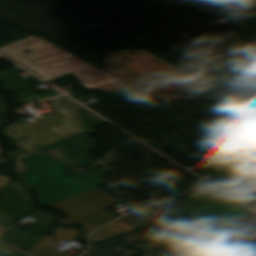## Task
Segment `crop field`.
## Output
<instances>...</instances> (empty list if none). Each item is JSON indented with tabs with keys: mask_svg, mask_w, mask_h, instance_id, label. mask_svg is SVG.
Returning <instances> with one entry per match:
<instances>
[{
	"mask_svg": "<svg viewBox=\"0 0 256 256\" xmlns=\"http://www.w3.org/2000/svg\"><path fill=\"white\" fill-rule=\"evenodd\" d=\"M247 247L251 248L252 250L256 251V243L249 244Z\"/></svg>",
	"mask_w": 256,
	"mask_h": 256,
	"instance_id": "obj_21",
	"label": "crop field"
},
{
	"mask_svg": "<svg viewBox=\"0 0 256 256\" xmlns=\"http://www.w3.org/2000/svg\"><path fill=\"white\" fill-rule=\"evenodd\" d=\"M181 204H184V203L181 202V201H179V202H177V203H174V204L169 205V207L173 208V207H176V206L181 205Z\"/></svg>",
	"mask_w": 256,
	"mask_h": 256,
	"instance_id": "obj_22",
	"label": "crop field"
},
{
	"mask_svg": "<svg viewBox=\"0 0 256 256\" xmlns=\"http://www.w3.org/2000/svg\"><path fill=\"white\" fill-rule=\"evenodd\" d=\"M19 69L21 68L16 66L0 72V80L7 82V84L4 85V88L12 90L18 94V97L16 98L17 102L30 103L61 94L60 92L54 89L45 91L41 94L34 93L32 90L29 89L33 85L14 72Z\"/></svg>",
	"mask_w": 256,
	"mask_h": 256,
	"instance_id": "obj_9",
	"label": "crop field"
},
{
	"mask_svg": "<svg viewBox=\"0 0 256 256\" xmlns=\"http://www.w3.org/2000/svg\"><path fill=\"white\" fill-rule=\"evenodd\" d=\"M4 229H5V228H3V227L0 226V231H2V230H4Z\"/></svg>",
	"mask_w": 256,
	"mask_h": 256,
	"instance_id": "obj_25",
	"label": "crop field"
},
{
	"mask_svg": "<svg viewBox=\"0 0 256 256\" xmlns=\"http://www.w3.org/2000/svg\"><path fill=\"white\" fill-rule=\"evenodd\" d=\"M5 109H6L5 104H4V103L1 104V105H0V111H5Z\"/></svg>",
	"mask_w": 256,
	"mask_h": 256,
	"instance_id": "obj_23",
	"label": "crop field"
},
{
	"mask_svg": "<svg viewBox=\"0 0 256 256\" xmlns=\"http://www.w3.org/2000/svg\"><path fill=\"white\" fill-rule=\"evenodd\" d=\"M31 198L21 182L14 180L0 189V216L15 222V219L29 209Z\"/></svg>",
	"mask_w": 256,
	"mask_h": 256,
	"instance_id": "obj_8",
	"label": "crop field"
},
{
	"mask_svg": "<svg viewBox=\"0 0 256 256\" xmlns=\"http://www.w3.org/2000/svg\"><path fill=\"white\" fill-rule=\"evenodd\" d=\"M56 112L44 115L40 120L27 124L20 120L3 131L18 140L13 145L22 149L9 153L14 158L52 142L75 135L91 127L106 123L65 96L49 99ZM92 129V128H91Z\"/></svg>",
	"mask_w": 256,
	"mask_h": 256,
	"instance_id": "obj_3",
	"label": "crop field"
},
{
	"mask_svg": "<svg viewBox=\"0 0 256 256\" xmlns=\"http://www.w3.org/2000/svg\"><path fill=\"white\" fill-rule=\"evenodd\" d=\"M195 165H197V166H199V167H201V168L207 170L208 172H211V171H214V170H218V169H216V168H214V167H211V166H209V165H206V164H204V163H202V162H199V163H197V164H195Z\"/></svg>",
	"mask_w": 256,
	"mask_h": 256,
	"instance_id": "obj_17",
	"label": "crop field"
},
{
	"mask_svg": "<svg viewBox=\"0 0 256 256\" xmlns=\"http://www.w3.org/2000/svg\"><path fill=\"white\" fill-rule=\"evenodd\" d=\"M0 153H1V151H0ZM4 162H6V161L3 160V159L0 157V164H1V163H4Z\"/></svg>",
	"mask_w": 256,
	"mask_h": 256,
	"instance_id": "obj_24",
	"label": "crop field"
},
{
	"mask_svg": "<svg viewBox=\"0 0 256 256\" xmlns=\"http://www.w3.org/2000/svg\"><path fill=\"white\" fill-rule=\"evenodd\" d=\"M249 256H256V253L252 254V255H249Z\"/></svg>",
	"mask_w": 256,
	"mask_h": 256,
	"instance_id": "obj_27",
	"label": "crop field"
},
{
	"mask_svg": "<svg viewBox=\"0 0 256 256\" xmlns=\"http://www.w3.org/2000/svg\"><path fill=\"white\" fill-rule=\"evenodd\" d=\"M154 221L146 218L145 216L133 212L132 214L116 221L115 223L93 233L92 240L100 241L104 238L152 223Z\"/></svg>",
	"mask_w": 256,
	"mask_h": 256,
	"instance_id": "obj_11",
	"label": "crop field"
},
{
	"mask_svg": "<svg viewBox=\"0 0 256 256\" xmlns=\"http://www.w3.org/2000/svg\"><path fill=\"white\" fill-rule=\"evenodd\" d=\"M1 103H3V100H2L1 97H0V104H1Z\"/></svg>",
	"mask_w": 256,
	"mask_h": 256,
	"instance_id": "obj_26",
	"label": "crop field"
},
{
	"mask_svg": "<svg viewBox=\"0 0 256 256\" xmlns=\"http://www.w3.org/2000/svg\"><path fill=\"white\" fill-rule=\"evenodd\" d=\"M25 256H27V255H25Z\"/></svg>",
	"mask_w": 256,
	"mask_h": 256,
	"instance_id": "obj_28",
	"label": "crop field"
},
{
	"mask_svg": "<svg viewBox=\"0 0 256 256\" xmlns=\"http://www.w3.org/2000/svg\"><path fill=\"white\" fill-rule=\"evenodd\" d=\"M246 204H248L249 206H251L252 208L256 209V200H252L249 202H245Z\"/></svg>",
	"mask_w": 256,
	"mask_h": 256,
	"instance_id": "obj_20",
	"label": "crop field"
},
{
	"mask_svg": "<svg viewBox=\"0 0 256 256\" xmlns=\"http://www.w3.org/2000/svg\"><path fill=\"white\" fill-rule=\"evenodd\" d=\"M99 132L92 128L14 159L13 168L30 190L36 189L44 206L105 184L103 167L84 175L66 171L95 163L86 151L97 148L88 136Z\"/></svg>",
	"mask_w": 256,
	"mask_h": 256,
	"instance_id": "obj_1",
	"label": "crop field"
},
{
	"mask_svg": "<svg viewBox=\"0 0 256 256\" xmlns=\"http://www.w3.org/2000/svg\"><path fill=\"white\" fill-rule=\"evenodd\" d=\"M0 256H24V254L0 244Z\"/></svg>",
	"mask_w": 256,
	"mask_h": 256,
	"instance_id": "obj_16",
	"label": "crop field"
},
{
	"mask_svg": "<svg viewBox=\"0 0 256 256\" xmlns=\"http://www.w3.org/2000/svg\"><path fill=\"white\" fill-rule=\"evenodd\" d=\"M220 170L211 172L219 179L210 181L245 202L256 198V151L246 147L202 161Z\"/></svg>",
	"mask_w": 256,
	"mask_h": 256,
	"instance_id": "obj_4",
	"label": "crop field"
},
{
	"mask_svg": "<svg viewBox=\"0 0 256 256\" xmlns=\"http://www.w3.org/2000/svg\"><path fill=\"white\" fill-rule=\"evenodd\" d=\"M117 202L115 198L95 188L49 205V207L62 210L65 213L67 218L58 220V224L79 223L85 225L81 228L84 231L82 239L87 240L88 232L91 229L117 218L103 210Z\"/></svg>",
	"mask_w": 256,
	"mask_h": 256,
	"instance_id": "obj_5",
	"label": "crop field"
},
{
	"mask_svg": "<svg viewBox=\"0 0 256 256\" xmlns=\"http://www.w3.org/2000/svg\"><path fill=\"white\" fill-rule=\"evenodd\" d=\"M43 221L24 231L16 226L0 234V241L26 252L45 235L32 236L33 233L44 230L54 219L55 215L46 211H36L29 215Z\"/></svg>",
	"mask_w": 256,
	"mask_h": 256,
	"instance_id": "obj_7",
	"label": "crop field"
},
{
	"mask_svg": "<svg viewBox=\"0 0 256 256\" xmlns=\"http://www.w3.org/2000/svg\"><path fill=\"white\" fill-rule=\"evenodd\" d=\"M223 233L241 244L256 240V214L250 213Z\"/></svg>",
	"mask_w": 256,
	"mask_h": 256,
	"instance_id": "obj_12",
	"label": "crop field"
},
{
	"mask_svg": "<svg viewBox=\"0 0 256 256\" xmlns=\"http://www.w3.org/2000/svg\"><path fill=\"white\" fill-rule=\"evenodd\" d=\"M224 197H227V196L225 194H223L222 192L218 191L217 189L213 188L208 191L199 193L197 195H194L187 199L182 200L186 204L181 205L176 208H173V209L178 212H181L184 210L187 211V210H190V209L196 208L198 206L216 201V200L224 198Z\"/></svg>",
	"mask_w": 256,
	"mask_h": 256,
	"instance_id": "obj_13",
	"label": "crop field"
},
{
	"mask_svg": "<svg viewBox=\"0 0 256 256\" xmlns=\"http://www.w3.org/2000/svg\"><path fill=\"white\" fill-rule=\"evenodd\" d=\"M11 180L7 177L0 176V188L5 186L7 183H9Z\"/></svg>",
	"mask_w": 256,
	"mask_h": 256,
	"instance_id": "obj_19",
	"label": "crop field"
},
{
	"mask_svg": "<svg viewBox=\"0 0 256 256\" xmlns=\"http://www.w3.org/2000/svg\"><path fill=\"white\" fill-rule=\"evenodd\" d=\"M254 253V251L250 250L249 248L245 247V246H240V249L224 255V254H220V255H212V256H247L249 254ZM176 256H188V255H184V254H180V255H176Z\"/></svg>",
	"mask_w": 256,
	"mask_h": 256,
	"instance_id": "obj_15",
	"label": "crop field"
},
{
	"mask_svg": "<svg viewBox=\"0 0 256 256\" xmlns=\"http://www.w3.org/2000/svg\"><path fill=\"white\" fill-rule=\"evenodd\" d=\"M133 253L137 252L121 245H113L108 248L93 247L92 250L84 256H129Z\"/></svg>",
	"mask_w": 256,
	"mask_h": 256,
	"instance_id": "obj_14",
	"label": "crop field"
},
{
	"mask_svg": "<svg viewBox=\"0 0 256 256\" xmlns=\"http://www.w3.org/2000/svg\"><path fill=\"white\" fill-rule=\"evenodd\" d=\"M53 236H45L36 245H34L27 253L34 256H73L65 252L56 251V243L63 239H73L79 234L75 228H56Z\"/></svg>",
	"mask_w": 256,
	"mask_h": 256,
	"instance_id": "obj_10",
	"label": "crop field"
},
{
	"mask_svg": "<svg viewBox=\"0 0 256 256\" xmlns=\"http://www.w3.org/2000/svg\"><path fill=\"white\" fill-rule=\"evenodd\" d=\"M249 211L251 210L227 197L187 212L222 232Z\"/></svg>",
	"mask_w": 256,
	"mask_h": 256,
	"instance_id": "obj_6",
	"label": "crop field"
},
{
	"mask_svg": "<svg viewBox=\"0 0 256 256\" xmlns=\"http://www.w3.org/2000/svg\"><path fill=\"white\" fill-rule=\"evenodd\" d=\"M228 239L231 238L184 211L100 242L123 241L145 251L143 256H161L217 253V244ZM200 241L212 244L207 248L195 245Z\"/></svg>",
	"mask_w": 256,
	"mask_h": 256,
	"instance_id": "obj_2",
	"label": "crop field"
},
{
	"mask_svg": "<svg viewBox=\"0 0 256 256\" xmlns=\"http://www.w3.org/2000/svg\"><path fill=\"white\" fill-rule=\"evenodd\" d=\"M14 224H15V223H13V222H11V221H8V220L3 219V218L0 217V225H1V226L5 227V228H8V227H10V226H12V225H14Z\"/></svg>",
	"mask_w": 256,
	"mask_h": 256,
	"instance_id": "obj_18",
	"label": "crop field"
}]
</instances>
